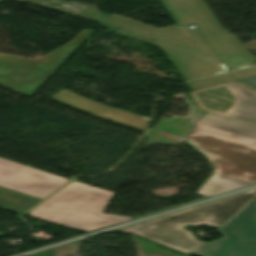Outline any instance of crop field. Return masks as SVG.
Instances as JSON below:
<instances>
[{
	"mask_svg": "<svg viewBox=\"0 0 256 256\" xmlns=\"http://www.w3.org/2000/svg\"><path fill=\"white\" fill-rule=\"evenodd\" d=\"M91 34L84 30L68 44L36 60L0 55V86L31 97Z\"/></svg>",
	"mask_w": 256,
	"mask_h": 256,
	"instance_id": "f4fd0767",
	"label": "crop field"
},
{
	"mask_svg": "<svg viewBox=\"0 0 256 256\" xmlns=\"http://www.w3.org/2000/svg\"><path fill=\"white\" fill-rule=\"evenodd\" d=\"M177 24H192L188 14L177 0H160Z\"/></svg>",
	"mask_w": 256,
	"mask_h": 256,
	"instance_id": "d1516ede",
	"label": "crop field"
},
{
	"mask_svg": "<svg viewBox=\"0 0 256 256\" xmlns=\"http://www.w3.org/2000/svg\"><path fill=\"white\" fill-rule=\"evenodd\" d=\"M242 82L256 88V76L254 77H249V78H245V79H241Z\"/></svg>",
	"mask_w": 256,
	"mask_h": 256,
	"instance_id": "5142ce71",
	"label": "crop field"
},
{
	"mask_svg": "<svg viewBox=\"0 0 256 256\" xmlns=\"http://www.w3.org/2000/svg\"><path fill=\"white\" fill-rule=\"evenodd\" d=\"M228 84L241 99L232 114L206 113L185 141L215 168L196 192L203 197L256 183V91L238 81Z\"/></svg>",
	"mask_w": 256,
	"mask_h": 256,
	"instance_id": "8a807250",
	"label": "crop field"
},
{
	"mask_svg": "<svg viewBox=\"0 0 256 256\" xmlns=\"http://www.w3.org/2000/svg\"><path fill=\"white\" fill-rule=\"evenodd\" d=\"M0 1H2V0H0Z\"/></svg>",
	"mask_w": 256,
	"mask_h": 256,
	"instance_id": "733c2abd",
	"label": "crop field"
},
{
	"mask_svg": "<svg viewBox=\"0 0 256 256\" xmlns=\"http://www.w3.org/2000/svg\"><path fill=\"white\" fill-rule=\"evenodd\" d=\"M197 26L216 53L223 56L222 60L229 70L255 64L252 54L244 50L235 35L223 30L217 20L198 23Z\"/></svg>",
	"mask_w": 256,
	"mask_h": 256,
	"instance_id": "d8731c3e",
	"label": "crop field"
},
{
	"mask_svg": "<svg viewBox=\"0 0 256 256\" xmlns=\"http://www.w3.org/2000/svg\"><path fill=\"white\" fill-rule=\"evenodd\" d=\"M105 22L110 23L112 25L118 26L123 29H127L130 31H134L136 33L154 38L153 32L155 29L154 27L144 25L126 18H122L116 15H112L108 18ZM155 39V38H154Z\"/></svg>",
	"mask_w": 256,
	"mask_h": 256,
	"instance_id": "28ad6ade",
	"label": "crop field"
},
{
	"mask_svg": "<svg viewBox=\"0 0 256 256\" xmlns=\"http://www.w3.org/2000/svg\"><path fill=\"white\" fill-rule=\"evenodd\" d=\"M41 199L0 188V205L3 209L24 213Z\"/></svg>",
	"mask_w": 256,
	"mask_h": 256,
	"instance_id": "5a996713",
	"label": "crop field"
},
{
	"mask_svg": "<svg viewBox=\"0 0 256 256\" xmlns=\"http://www.w3.org/2000/svg\"><path fill=\"white\" fill-rule=\"evenodd\" d=\"M70 179L0 158V186L43 199Z\"/></svg>",
	"mask_w": 256,
	"mask_h": 256,
	"instance_id": "e52e79f7",
	"label": "crop field"
},
{
	"mask_svg": "<svg viewBox=\"0 0 256 256\" xmlns=\"http://www.w3.org/2000/svg\"><path fill=\"white\" fill-rule=\"evenodd\" d=\"M235 79L228 73L213 76V77H208L192 82H188V86L191 88V90L202 88V87H207L211 85H216L224 82H229V81H234Z\"/></svg>",
	"mask_w": 256,
	"mask_h": 256,
	"instance_id": "22f410ed",
	"label": "crop field"
},
{
	"mask_svg": "<svg viewBox=\"0 0 256 256\" xmlns=\"http://www.w3.org/2000/svg\"><path fill=\"white\" fill-rule=\"evenodd\" d=\"M113 192L73 181L27 215L89 232L134 218L102 214Z\"/></svg>",
	"mask_w": 256,
	"mask_h": 256,
	"instance_id": "34b2d1b8",
	"label": "crop field"
},
{
	"mask_svg": "<svg viewBox=\"0 0 256 256\" xmlns=\"http://www.w3.org/2000/svg\"><path fill=\"white\" fill-rule=\"evenodd\" d=\"M231 74L237 79L254 76V75H256V66L247 68V69H243V70H239V71H235V72H231Z\"/></svg>",
	"mask_w": 256,
	"mask_h": 256,
	"instance_id": "cbeb9de0",
	"label": "crop field"
},
{
	"mask_svg": "<svg viewBox=\"0 0 256 256\" xmlns=\"http://www.w3.org/2000/svg\"><path fill=\"white\" fill-rule=\"evenodd\" d=\"M154 35L185 80L225 71L197 29L174 26L158 29Z\"/></svg>",
	"mask_w": 256,
	"mask_h": 256,
	"instance_id": "412701ff",
	"label": "crop field"
},
{
	"mask_svg": "<svg viewBox=\"0 0 256 256\" xmlns=\"http://www.w3.org/2000/svg\"><path fill=\"white\" fill-rule=\"evenodd\" d=\"M97 117V116H96ZM99 118V117H98ZM102 119V118H101Z\"/></svg>",
	"mask_w": 256,
	"mask_h": 256,
	"instance_id": "d9b57169",
	"label": "crop field"
},
{
	"mask_svg": "<svg viewBox=\"0 0 256 256\" xmlns=\"http://www.w3.org/2000/svg\"><path fill=\"white\" fill-rule=\"evenodd\" d=\"M256 195V189L177 211L142 223L128 226L117 232L138 235L175 250L190 254L203 242L182 229L184 224L209 225L220 228ZM203 214L211 216L210 219Z\"/></svg>",
	"mask_w": 256,
	"mask_h": 256,
	"instance_id": "ac0d7876",
	"label": "crop field"
},
{
	"mask_svg": "<svg viewBox=\"0 0 256 256\" xmlns=\"http://www.w3.org/2000/svg\"><path fill=\"white\" fill-rule=\"evenodd\" d=\"M223 239L206 243L199 256H256V198L219 231Z\"/></svg>",
	"mask_w": 256,
	"mask_h": 256,
	"instance_id": "dd49c442",
	"label": "crop field"
},
{
	"mask_svg": "<svg viewBox=\"0 0 256 256\" xmlns=\"http://www.w3.org/2000/svg\"><path fill=\"white\" fill-rule=\"evenodd\" d=\"M179 2L194 23L215 19L203 0H179Z\"/></svg>",
	"mask_w": 256,
	"mask_h": 256,
	"instance_id": "3316defc",
	"label": "crop field"
}]
</instances>
